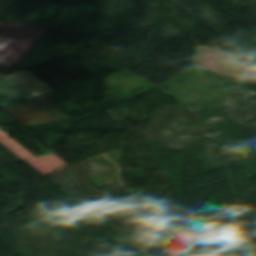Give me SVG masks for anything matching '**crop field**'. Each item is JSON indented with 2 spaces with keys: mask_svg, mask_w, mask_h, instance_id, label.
<instances>
[{
  "mask_svg": "<svg viewBox=\"0 0 256 256\" xmlns=\"http://www.w3.org/2000/svg\"><path fill=\"white\" fill-rule=\"evenodd\" d=\"M4 78L10 81L29 97L34 96L32 95L34 93L39 95L52 91L26 70L4 76Z\"/></svg>",
  "mask_w": 256,
  "mask_h": 256,
  "instance_id": "ac0d7876",
  "label": "crop field"
},
{
  "mask_svg": "<svg viewBox=\"0 0 256 256\" xmlns=\"http://www.w3.org/2000/svg\"><path fill=\"white\" fill-rule=\"evenodd\" d=\"M25 98V96H23L6 81L0 78V104H7Z\"/></svg>",
  "mask_w": 256,
  "mask_h": 256,
  "instance_id": "34b2d1b8",
  "label": "crop field"
},
{
  "mask_svg": "<svg viewBox=\"0 0 256 256\" xmlns=\"http://www.w3.org/2000/svg\"><path fill=\"white\" fill-rule=\"evenodd\" d=\"M2 109L24 127L56 121L29 99L2 107Z\"/></svg>",
  "mask_w": 256,
  "mask_h": 256,
  "instance_id": "8a807250",
  "label": "crop field"
}]
</instances>
